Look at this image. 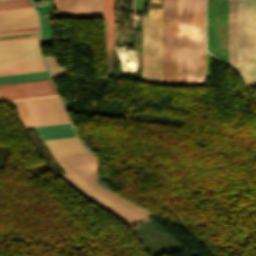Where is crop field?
Returning a JSON list of instances; mask_svg holds the SVG:
<instances>
[{"label": "crop field", "mask_w": 256, "mask_h": 256, "mask_svg": "<svg viewBox=\"0 0 256 256\" xmlns=\"http://www.w3.org/2000/svg\"><path fill=\"white\" fill-rule=\"evenodd\" d=\"M40 54L39 44L0 48V58Z\"/></svg>", "instance_id": "13"}, {"label": "crop field", "mask_w": 256, "mask_h": 256, "mask_svg": "<svg viewBox=\"0 0 256 256\" xmlns=\"http://www.w3.org/2000/svg\"><path fill=\"white\" fill-rule=\"evenodd\" d=\"M42 35H43V46L51 44V23L49 14L41 16Z\"/></svg>", "instance_id": "17"}, {"label": "crop field", "mask_w": 256, "mask_h": 256, "mask_svg": "<svg viewBox=\"0 0 256 256\" xmlns=\"http://www.w3.org/2000/svg\"><path fill=\"white\" fill-rule=\"evenodd\" d=\"M42 59L41 55L37 56H28V57H19V58H9V59H0V63H9V62H18V61H28V60H38Z\"/></svg>", "instance_id": "19"}, {"label": "crop field", "mask_w": 256, "mask_h": 256, "mask_svg": "<svg viewBox=\"0 0 256 256\" xmlns=\"http://www.w3.org/2000/svg\"><path fill=\"white\" fill-rule=\"evenodd\" d=\"M238 0H229V65L237 72Z\"/></svg>", "instance_id": "9"}, {"label": "crop field", "mask_w": 256, "mask_h": 256, "mask_svg": "<svg viewBox=\"0 0 256 256\" xmlns=\"http://www.w3.org/2000/svg\"><path fill=\"white\" fill-rule=\"evenodd\" d=\"M104 17H107V50H113L114 0H104Z\"/></svg>", "instance_id": "14"}, {"label": "crop field", "mask_w": 256, "mask_h": 256, "mask_svg": "<svg viewBox=\"0 0 256 256\" xmlns=\"http://www.w3.org/2000/svg\"><path fill=\"white\" fill-rule=\"evenodd\" d=\"M23 128L70 122L58 96L15 101Z\"/></svg>", "instance_id": "3"}, {"label": "crop field", "mask_w": 256, "mask_h": 256, "mask_svg": "<svg viewBox=\"0 0 256 256\" xmlns=\"http://www.w3.org/2000/svg\"><path fill=\"white\" fill-rule=\"evenodd\" d=\"M35 43H39V39L0 43V47L25 45V44H35Z\"/></svg>", "instance_id": "20"}, {"label": "crop field", "mask_w": 256, "mask_h": 256, "mask_svg": "<svg viewBox=\"0 0 256 256\" xmlns=\"http://www.w3.org/2000/svg\"><path fill=\"white\" fill-rule=\"evenodd\" d=\"M35 38H39V36L25 37V38H15V39H6V40H0V42L15 41V40H25V39H35Z\"/></svg>", "instance_id": "23"}, {"label": "crop field", "mask_w": 256, "mask_h": 256, "mask_svg": "<svg viewBox=\"0 0 256 256\" xmlns=\"http://www.w3.org/2000/svg\"><path fill=\"white\" fill-rule=\"evenodd\" d=\"M35 35H39V34H38V33H34V34H24V35L5 36V37H0V39L15 38V37H25V36H35Z\"/></svg>", "instance_id": "22"}, {"label": "crop field", "mask_w": 256, "mask_h": 256, "mask_svg": "<svg viewBox=\"0 0 256 256\" xmlns=\"http://www.w3.org/2000/svg\"><path fill=\"white\" fill-rule=\"evenodd\" d=\"M162 10L143 16L142 69H161Z\"/></svg>", "instance_id": "5"}, {"label": "crop field", "mask_w": 256, "mask_h": 256, "mask_svg": "<svg viewBox=\"0 0 256 256\" xmlns=\"http://www.w3.org/2000/svg\"><path fill=\"white\" fill-rule=\"evenodd\" d=\"M46 70L42 60L0 65V76Z\"/></svg>", "instance_id": "11"}, {"label": "crop field", "mask_w": 256, "mask_h": 256, "mask_svg": "<svg viewBox=\"0 0 256 256\" xmlns=\"http://www.w3.org/2000/svg\"><path fill=\"white\" fill-rule=\"evenodd\" d=\"M50 94H56L50 79L0 85V102Z\"/></svg>", "instance_id": "6"}, {"label": "crop field", "mask_w": 256, "mask_h": 256, "mask_svg": "<svg viewBox=\"0 0 256 256\" xmlns=\"http://www.w3.org/2000/svg\"><path fill=\"white\" fill-rule=\"evenodd\" d=\"M177 0H163L162 85H176Z\"/></svg>", "instance_id": "4"}, {"label": "crop field", "mask_w": 256, "mask_h": 256, "mask_svg": "<svg viewBox=\"0 0 256 256\" xmlns=\"http://www.w3.org/2000/svg\"><path fill=\"white\" fill-rule=\"evenodd\" d=\"M53 158L66 173L60 177L93 203L134 225L150 218V213L116 197L97 184L98 163L89 152Z\"/></svg>", "instance_id": "1"}, {"label": "crop field", "mask_w": 256, "mask_h": 256, "mask_svg": "<svg viewBox=\"0 0 256 256\" xmlns=\"http://www.w3.org/2000/svg\"><path fill=\"white\" fill-rule=\"evenodd\" d=\"M34 30H38V28H34V29H24V30H14V31H4V32H0V35H1V34H9V33H17V32L34 31Z\"/></svg>", "instance_id": "21"}, {"label": "crop field", "mask_w": 256, "mask_h": 256, "mask_svg": "<svg viewBox=\"0 0 256 256\" xmlns=\"http://www.w3.org/2000/svg\"><path fill=\"white\" fill-rule=\"evenodd\" d=\"M60 18H102V0H59Z\"/></svg>", "instance_id": "7"}, {"label": "crop field", "mask_w": 256, "mask_h": 256, "mask_svg": "<svg viewBox=\"0 0 256 256\" xmlns=\"http://www.w3.org/2000/svg\"><path fill=\"white\" fill-rule=\"evenodd\" d=\"M45 60L54 79L66 76L64 67H59L53 57L46 56Z\"/></svg>", "instance_id": "18"}, {"label": "crop field", "mask_w": 256, "mask_h": 256, "mask_svg": "<svg viewBox=\"0 0 256 256\" xmlns=\"http://www.w3.org/2000/svg\"><path fill=\"white\" fill-rule=\"evenodd\" d=\"M45 78H49L46 71L27 73V74H19V75H11V76H3V77H0V84L37 80V79H45Z\"/></svg>", "instance_id": "15"}, {"label": "crop field", "mask_w": 256, "mask_h": 256, "mask_svg": "<svg viewBox=\"0 0 256 256\" xmlns=\"http://www.w3.org/2000/svg\"><path fill=\"white\" fill-rule=\"evenodd\" d=\"M42 140L77 136L71 123L35 128Z\"/></svg>", "instance_id": "12"}, {"label": "crop field", "mask_w": 256, "mask_h": 256, "mask_svg": "<svg viewBox=\"0 0 256 256\" xmlns=\"http://www.w3.org/2000/svg\"><path fill=\"white\" fill-rule=\"evenodd\" d=\"M38 27L34 8L0 12V31Z\"/></svg>", "instance_id": "8"}, {"label": "crop field", "mask_w": 256, "mask_h": 256, "mask_svg": "<svg viewBox=\"0 0 256 256\" xmlns=\"http://www.w3.org/2000/svg\"><path fill=\"white\" fill-rule=\"evenodd\" d=\"M32 7L29 0H3L0 1V11Z\"/></svg>", "instance_id": "16"}, {"label": "crop field", "mask_w": 256, "mask_h": 256, "mask_svg": "<svg viewBox=\"0 0 256 256\" xmlns=\"http://www.w3.org/2000/svg\"><path fill=\"white\" fill-rule=\"evenodd\" d=\"M238 75L256 87V1L239 0Z\"/></svg>", "instance_id": "2"}, {"label": "crop field", "mask_w": 256, "mask_h": 256, "mask_svg": "<svg viewBox=\"0 0 256 256\" xmlns=\"http://www.w3.org/2000/svg\"><path fill=\"white\" fill-rule=\"evenodd\" d=\"M44 143L49 148L52 156L88 151L82 146L77 137L47 140Z\"/></svg>", "instance_id": "10"}]
</instances>
